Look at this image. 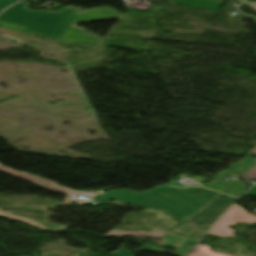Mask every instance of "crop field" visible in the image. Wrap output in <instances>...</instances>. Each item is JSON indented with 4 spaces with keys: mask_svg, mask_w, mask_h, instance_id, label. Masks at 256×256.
<instances>
[{
    "mask_svg": "<svg viewBox=\"0 0 256 256\" xmlns=\"http://www.w3.org/2000/svg\"><path fill=\"white\" fill-rule=\"evenodd\" d=\"M138 250H147V251H153V252H160L163 253V248L161 247H156V246H148V245H143L140 249ZM137 251V250H136ZM135 252V251H134Z\"/></svg>",
    "mask_w": 256,
    "mask_h": 256,
    "instance_id": "crop-field-14",
    "label": "crop field"
},
{
    "mask_svg": "<svg viewBox=\"0 0 256 256\" xmlns=\"http://www.w3.org/2000/svg\"><path fill=\"white\" fill-rule=\"evenodd\" d=\"M113 16H116V15L111 10H98V11L78 13V14L74 15V17L70 23V26H71L72 22L102 18V17H113Z\"/></svg>",
    "mask_w": 256,
    "mask_h": 256,
    "instance_id": "crop-field-8",
    "label": "crop field"
},
{
    "mask_svg": "<svg viewBox=\"0 0 256 256\" xmlns=\"http://www.w3.org/2000/svg\"><path fill=\"white\" fill-rule=\"evenodd\" d=\"M221 197H225V199H221ZM234 200H235L234 198H230V197L221 195V196H220L218 199H216L213 203H214V204H220V205L229 206Z\"/></svg>",
    "mask_w": 256,
    "mask_h": 256,
    "instance_id": "crop-field-13",
    "label": "crop field"
},
{
    "mask_svg": "<svg viewBox=\"0 0 256 256\" xmlns=\"http://www.w3.org/2000/svg\"><path fill=\"white\" fill-rule=\"evenodd\" d=\"M239 222L252 224L256 222V216L249 215L242 207L234 204L209 230L211 235L220 237H233L234 230L229 229L230 225Z\"/></svg>",
    "mask_w": 256,
    "mask_h": 256,
    "instance_id": "crop-field-2",
    "label": "crop field"
},
{
    "mask_svg": "<svg viewBox=\"0 0 256 256\" xmlns=\"http://www.w3.org/2000/svg\"><path fill=\"white\" fill-rule=\"evenodd\" d=\"M63 39L77 41V42L90 43V44H95L98 41L95 38L88 37V36L81 34L79 29L72 28V27H68Z\"/></svg>",
    "mask_w": 256,
    "mask_h": 256,
    "instance_id": "crop-field-9",
    "label": "crop field"
},
{
    "mask_svg": "<svg viewBox=\"0 0 256 256\" xmlns=\"http://www.w3.org/2000/svg\"><path fill=\"white\" fill-rule=\"evenodd\" d=\"M256 195V186L251 188L244 196H255Z\"/></svg>",
    "mask_w": 256,
    "mask_h": 256,
    "instance_id": "crop-field-19",
    "label": "crop field"
},
{
    "mask_svg": "<svg viewBox=\"0 0 256 256\" xmlns=\"http://www.w3.org/2000/svg\"><path fill=\"white\" fill-rule=\"evenodd\" d=\"M125 245H122L121 249L117 252H111V254L117 255V256H131V252L130 251H126L125 249Z\"/></svg>",
    "mask_w": 256,
    "mask_h": 256,
    "instance_id": "crop-field-16",
    "label": "crop field"
},
{
    "mask_svg": "<svg viewBox=\"0 0 256 256\" xmlns=\"http://www.w3.org/2000/svg\"><path fill=\"white\" fill-rule=\"evenodd\" d=\"M243 183L244 182L237 181L231 187H229L226 191H224V193L238 197L240 194L244 192L245 189H247V185Z\"/></svg>",
    "mask_w": 256,
    "mask_h": 256,
    "instance_id": "crop-field-11",
    "label": "crop field"
},
{
    "mask_svg": "<svg viewBox=\"0 0 256 256\" xmlns=\"http://www.w3.org/2000/svg\"><path fill=\"white\" fill-rule=\"evenodd\" d=\"M0 26L18 30V31H21L23 29V27H20V26L9 25V24H5V23H1V22H0Z\"/></svg>",
    "mask_w": 256,
    "mask_h": 256,
    "instance_id": "crop-field-18",
    "label": "crop field"
},
{
    "mask_svg": "<svg viewBox=\"0 0 256 256\" xmlns=\"http://www.w3.org/2000/svg\"><path fill=\"white\" fill-rule=\"evenodd\" d=\"M0 171H3L5 173L11 174L13 176L19 177L21 179L27 180L29 182L35 183V184H37L39 186H42L46 189L57 191V192L68 194V195H72V196H76V195L92 196L94 194V193L73 191V190H70L68 188L59 186L55 183H52L50 181H47L43 178H40V177H37V176H34V175H30V174H27V173L14 172V171L10 170L9 168H7V167H5L1 164H0Z\"/></svg>",
    "mask_w": 256,
    "mask_h": 256,
    "instance_id": "crop-field-3",
    "label": "crop field"
},
{
    "mask_svg": "<svg viewBox=\"0 0 256 256\" xmlns=\"http://www.w3.org/2000/svg\"><path fill=\"white\" fill-rule=\"evenodd\" d=\"M256 160V159H255ZM245 178L256 180V166L253 167L249 172L243 175Z\"/></svg>",
    "mask_w": 256,
    "mask_h": 256,
    "instance_id": "crop-field-15",
    "label": "crop field"
},
{
    "mask_svg": "<svg viewBox=\"0 0 256 256\" xmlns=\"http://www.w3.org/2000/svg\"><path fill=\"white\" fill-rule=\"evenodd\" d=\"M0 216L10 218L13 220H17V221L26 223L28 225H31V226H34V227H37V228H40V229H43L46 231H62V229L67 228V226H63V225H58V224L49 223V222H45V221H41V220H37V219H33V218L22 217V216L10 214L3 209H0Z\"/></svg>",
    "mask_w": 256,
    "mask_h": 256,
    "instance_id": "crop-field-6",
    "label": "crop field"
},
{
    "mask_svg": "<svg viewBox=\"0 0 256 256\" xmlns=\"http://www.w3.org/2000/svg\"><path fill=\"white\" fill-rule=\"evenodd\" d=\"M29 3L20 2L3 12L0 20L25 27V30L62 39L76 9H64L58 13L29 11Z\"/></svg>",
    "mask_w": 256,
    "mask_h": 256,
    "instance_id": "crop-field-1",
    "label": "crop field"
},
{
    "mask_svg": "<svg viewBox=\"0 0 256 256\" xmlns=\"http://www.w3.org/2000/svg\"><path fill=\"white\" fill-rule=\"evenodd\" d=\"M250 155H252V154H256V147L255 148H253L251 151H250V153H249Z\"/></svg>",
    "mask_w": 256,
    "mask_h": 256,
    "instance_id": "crop-field-21",
    "label": "crop field"
},
{
    "mask_svg": "<svg viewBox=\"0 0 256 256\" xmlns=\"http://www.w3.org/2000/svg\"><path fill=\"white\" fill-rule=\"evenodd\" d=\"M254 164L255 163L253 162V160L251 158L246 157L245 159H243L239 163L231 165L229 170L223 171L222 174L217 175L215 177L217 181H215V182H213L211 184H208V185H203V186L223 192L231 184H233L234 181H230V180H228V181H221L220 179L222 177H224L226 174L232 175V174H235L237 172L244 173L249 168H251ZM218 176H221V177L218 178Z\"/></svg>",
    "mask_w": 256,
    "mask_h": 256,
    "instance_id": "crop-field-4",
    "label": "crop field"
},
{
    "mask_svg": "<svg viewBox=\"0 0 256 256\" xmlns=\"http://www.w3.org/2000/svg\"><path fill=\"white\" fill-rule=\"evenodd\" d=\"M197 242L198 239L183 235L174 236L167 232L160 245L176 248V254L181 256L189 251L193 247L192 245Z\"/></svg>",
    "mask_w": 256,
    "mask_h": 256,
    "instance_id": "crop-field-5",
    "label": "crop field"
},
{
    "mask_svg": "<svg viewBox=\"0 0 256 256\" xmlns=\"http://www.w3.org/2000/svg\"><path fill=\"white\" fill-rule=\"evenodd\" d=\"M248 5L256 10V2H249Z\"/></svg>",
    "mask_w": 256,
    "mask_h": 256,
    "instance_id": "crop-field-20",
    "label": "crop field"
},
{
    "mask_svg": "<svg viewBox=\"0 0 256 256\" xmlns=\"http://www.w3.org/2000/svg\"><path fill=\"white\" fill-rule=\"evenodd\" d=\"M227 207L210 204L201 213L189 219V222L211 225Z\"/></svg>",
    "mask_w": 256,
    "mask_h": 256,
    "instance_id": "crop-field-7",
    "label": "crop field"
},
{
    "mask_svg": "<svg viewBox=\"0 0 256 256\" xmlns=\"http://www.w3.org/2000/svg\"><path fill=\"white\" fill-rule=\"evenodd\" d=\"M117 235L119 237L122 236H143V237H152V238H163L165 232H155V233H145V232H120L117 230H111L104 236H112Z\"/></svg>",
    "mask_w": 256,
    "mask_h": 256,
    "instance_id": "crop-field-10",
    "label": "crop field"
},
{
    "mask_svg": "<svg viewBox=\"0 0 256 256\" xmlns=\"http://www.w3.org/2000/svg\"><path fill=\"white\" fill-rule=\"evenodd\" d=\"M16 1L18 0H0V10Z\"/></svg>",
    "mask_w": 256,
    "mask_h": 256,
    "instance_id": "crop-field-17",
    "label": "crop field"
},
{
    "mask_svg": "<svg viewBox=\"0 0 256 256\" xmlns=\"http://www.w3.org/2000/svg\"><path fill=\"white\" fill-rule=\"evenodd\" d=\"M210 247L199 245L190 255L188 256H227L220 253H214L209 250Z\"/></svg>",
    "mask_w": 256,
    "mask_h": 256,
    "instance_id": "crop-field-12",
    "label": "crop field"
}]
</instances>
